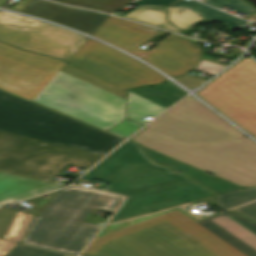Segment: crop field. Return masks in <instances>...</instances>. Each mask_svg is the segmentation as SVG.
<instances>
[{"label":"crop field","instance_id":"1","mask_svg":"<svg viewBox=\"0 0 256 256\" xmlns=\"http://www.w3.org/2000/svg\"><path fill=\"white\" fill-rule=\"evenodd\" d=\"M122 139L0 90V170L48 181L87 169Z\"/></svg>","mask_w":256,"mask_h":256},{"label":"crop field","instance_id":"2","mask_svg":"<svg viewBox=\"0 0 256 256\" xmlns=\"http://www.w3.org/2000/svg\"><path fill=\"white\" fill-rule=\"evenodd\" d=\"M132 140L244 187L256 184V144L191 96Z\"/></svg>","mask_w":256,"mask_h":256},{"label":"crop field","instance_id":"3","mask_svg":"<svg viewBox=\"0 0 256 256\" xmlns=\"http://www.w3.org/2000/svg\"><path fill=\"white\" fill-rule=\"evenodd\" d=\"M82 256H256V223L234 212L194 222L176 210L94 239Z\"/></svg>","mask_w":256,"mask_h":256},{"label":"crop field","instance_id":"4","mask_svg":"<svg viewBox=\"0 0 256 256\" xmlns=\"http://www.w3.org/2000/svg\"><path fill=\"white\" fill-rule=\"evenodd\" d=\"M171 172L148 160L138 144L127 141L81 179L112 184L105 191L128 196L110 222L213 195Z\"/></svg>","mask_w":256,"mask_h":256},{"label":"crop field","instance_id":"5","mask_svg":"<svg viewBox=\"0 0 256 256\" xmlns=\"http://www.w3.org/2000/svg\"><path fill=\"white\" fill-rule=\"evenodd\" d=\"M117 195L70 187L35 217L22 243L77 255L102 226L83 222L94 207L115 211Z\"/></svg>","mask_w":256,"mask_h":256},{"label":"crop field","instance_id":"6","mask_svg":"<svg viewBox=\"0 0 256 256\" xmlns=\"http://www.w3.org/2000/svg\"><path fill=\"white\" fill-rule=\"evenodd\" d=\"M34 101L104 130L125 119V99L62 71Z\"/></svg>","mask_w":256,"mask_h":256},{"label":"crop field","instance_id":"7","mask_svg":"<svg viewBox=\"0 0 256 256\" xmlns=\"http://www.w3.org/2000/svg\"><path fill=\"white\" fill-rule=\"evenodd\" d=\"M69 63L109 80L123 89L66 63L65 71L86 82L123 98L126 89L161 83L167 79L127 55L102 43L88 39L68 60Z\"/></svg>","mask_w":256,"mask_h":256},{"label":"crop field","instance_id":"8","mask_svg":"<svg viewBox=\"0 0 256 256\" xmlns=\"http://www.w3.org/2000/svg\"><path fill=\"white\" fill-rule=\"evenodd\" d=\"M158 30L109 16L93 36L116 45L173 77L194 70L202 52L199 47L171 34L150 52L137 48Z\"/></svg>","mask_w":256,"mask_h":256},{"label":"crop field","instance_id":"9","mask_svg":"<svg viewBox=\"0 0 256 256\" xmlns=\"http://www.w3.org/2000/svg\"><path fill=\"white\" fill-rule=\"evenodd\" d=\"M202 89L197 96L256 138V62L244 58Z\"/></svg>","mask_w":256,"mask_h":256},{"label":"crop field","instance_id":"10","mask_svg":"<svg viewBox=\"0 0 256 256\" xmlns=\"http://www.w3.org/2000/svg\"><path fill=\"white\" fill-rule=\"evenodd\" d=\"M87 38L0 10V41L25 50L67 61Z\"/></svg>","mask_w":256,"mask_h":256},{"label":"crop field","instance_id":"11","mask_svg":"<svg viewBox=\"0 0 256 256\" xmlns=\"http://www.w3.org/2000/svg\"><path fill=\"white\" fill-rule=\"evenodd\" d=\"M64 64L0 43V89L32 101Z\"/></svg>","mask_w":256,"mask_h":256},{"label":"crop field","instance_id":"12","mask_svg":"<svg viewBox=\"0 0 256 256\" xmlns=\"http://www.w3.org/2000/svg\"><path fill=\"white\" fill-rule=\"evenodd\" d=\"M22 13L38 16L92 35L108 15L61 6L44 0H31Z\"/></svg>","mask_w":256,"mask_h":256},{"label":"crop field","instance_id":"13","mask_svg":"<svg viewBox=\"0 0 256 256\" xmlns=\"http://www.w3.org/2000/svg\"><path fill=\"white\" fill-rule=\"evenodd\" d=\"M63 186L0 172V206Z\"/></svg>","mask_w":256,"mask_h":256},{"label":"crop field","instance_id":"14","mask_svg":"<svg viewBox=\"0 0 256 256\" xmlns=\"http://www.w3.org/2000/svg\"><path fill=\"white\" fill-rule=\"evenodd\" d=\"M141 147L148 156V158H150L154 162L173 167V171L189 176L193 181L212 190L216 195L227 191L243 188L242 186L236 185L229 181L223 180L211 174L200 171L196 168H193L189 165L181 163L163 154L150 150L146 147Z\"/></svg>","mask_w":256,"mask_h":256},{"label":"crop field","instance_id":"15","mask_svg":"<svg viewBox=\"0 0 256 256\" xmlns=\"http://www.w3.org/2000/svg\"><path fill=\"white\" fill-rule=\"evenodd\" d=\"M129 91L139 96H142L152 102H155L165 108L169 107L171 104L187 94L170 81L163 83L159 86L144 87L132 89Z\"/></svg>","mask_w":256,"mask_h":256},{"label":"crop field","instance_id":"16","mask_svg":"<svg viewBox=\"0 0 256 256\" xmlns=\"http://www.w3.org/2000/svg\"><path fill=\"white\" fill-rule=\"evenodd\" d=\"M171 6L188 7L207 20L220 21L222 23H225L228 30H236L240 28L242 25H244L245 23H247V21L245 20L232 17L228 14H225L223 12H220L216 9H213L211 7H208L206 5H203L193 0L191 1L181 0Z\"/></svg>","mask_w":256,"mask_h":256},{"label":"crop field","instance_id":"17","mask_svg":"<svg viewBox=\"0 0 256 256\" xmlns=\"http://www.w3.org/2000/svg\"><path fill=\"white\" fill-rule=\"evenodd\" d=\"M123 17L172 32L181 33V31H178L176 28L166 22L163 7L140 6Z\"/></svg>","mask_w":256,"mask_h":256},{"label":"crop field","instance_id":"18","mask_svg":"<svg viewBox=\"0 0 256 256\" xmlns=\"http://www.w3.org/2000/svg\"><path fill=\"white\" fill-rule=\"evenodd\" d=\"M128 94V118L133 121L145 125L149 121L145 122L141 120L142 118L148 115L154 118L165 110V108L155 103H152L142 97H139L129 91Z\"/></svg>","mask_w":256,"mask_h":256},{"label":"crop field","instance_id":"19","mask_svg":"<svg viewBox=\"0 0 256 256\" xmlns=\"http://www.w3.org/2000/svg\"><path fill=\"white\" fill-rule=\"evenodd\" d=\"M218 208L225 210L256 199V186L216 196Z\"/></svg>","mask_w":256,"mask_h":256},{"label":"crop field","instance_id":"20","mask_svg":"<svg viewBox=\"0 0 256 256\" xmlns=\"http://www.w3.org/2000/svg\"><path fill=\"white\" fill-rule=\"evenodd\" d=\"M53 1L110 13L133 0H53Z\"/></svg>","mask_w":256,"mask_h":256},{"label":"crop field","instance_id":"21","mask_svg":"<svg viewBox=\"0 0 256 256\" xmlns=\"http://www.w3.org/2000/svg\"><path fill=\"white\" fill-rule=\"evenodd\" d=\"M166 11L169 15V22L182 31L186 30L193 23L204 19L188 8L166 7Z\"/></svg>","mask_w":256,"mask_h":256},{"label":"crop field","instance_id":"22","mask_svg":"<svg viewBox=\"0 0 256 256\" xmlns=\"http://www.w3.org/2000/svg\"><path fill=\"white\" fill-rule=\"evenodd\" d=\"M34 216L16 212L4 238L20 242Z\"/></svg>","mask_w":256,"mask_h":256},{"label":"crop field","instance_id":"23","mask_svg":"<svg viewBox=\"0 0 256 256\" xmlns=\"http://www.w3.org/2000/svg\"><path fill=\"white\" fill-rule=\"evenodd\" d=\"M5 256H74L20 244Z\"/></svg>","mask_w":256,"mask_h":256},{"label":"crop field","instance_id":"24","mask_svg":"<svg viewBox=\"0 0 256 256\" xmlns=\"http://www.w3.org/2000/svg\"><path fill=\"white\" fill-rule=\"evenodd\" d=\"M201 2L216 8L227 6L235 11L245 13L248 16L256 12L242 0H202Z\"/></svg>","mask_w":256,"mask_h":256},{"label":"crop field","instance_id":"25","mask_svg":"<svg viewBox=\"0 0 256 256\" xmlns=\"http://www.w3.org/2000/svg\"><path fill=\"white\" fill-rule=\"evenodd\" d=\"M141 126L142 125H139L137 123H134V122H131V121L125 119L120 124L112 127L110 130H108V132L125 138V137L129 136L131 133H133L135 130L140 128Z\"/></svg>","mask_w":256,"mask_h":256},{"label":"crop field","instance_id":"26","mask_svg":"<svg viewBox=\"0 0 256 256\" xmlns=\"http://www.w3.org/2000/svg\"><path fill=\"white\" fill-rule=\"evenodd\" d=\"M16 211L0 208V238H3Z\"/></svg>","mask_w":256,"mask_h":256},{"label":"crop field","instance_id":"27","mask_svg":"<svg viewBox=\"0 0 256 256\" xmlns=\"http://www.w3.org/2000/svg\"><path fill=\"white\" fill-rule=\"evenodd\" d=\"M224 67L225 66H221V65H218V64H214V63H210V62L201 60L197 69H196V71H200V72H204V73L214 75L215 73H217L218 71H220Z\"/></svg>","mask_w":256,"mask_h":256},{"label":"crop field","instance_id":"28","mask_svg":"<svg viewBox=\"0 0 256 256\" xmlns=\"http://www.w3.org/2000/svg\"><path fill=\"white\" fill-rule=\"evenodd\" d=\"M231 211L239 212L252 220L256 221V202L235 208Z\"/></svg>","mask_w":256,"mask_h":256},{"label":"crop field","instance_id":"29","mask_svg":"<svg viewBox=\"0 0 256 256\" xmlns=\"http://www.w3.org/2000/svg\"><path fill=\"white\" fill-rule=\"evenodd\" d=\"M175 1H177V0H140V1H137V2L133 3V5L165 6V5L171 4Z\"/></svg>","mask_w":256,"mask_h":256},{"label":"crop field","instance_id":"30","mask_svg":"<svg viewBox=\"0 0 256 256\" xmlns=\"http://www.w3.org/2000/svg\"><path fill=\"white\" fill-rule=\"evenodd\" d=\"M17 242L0 239V256L6 254L12 247H14Z\"/></svg>","mask_w":256,"mask_h":256},{"label":"crop field","instance_id":"31","mask_svg":"<svg viewBox=\"0 0 256 256\" xmlns=\"http://www.w3.org/2000/svg\"><path fill=\"white\" fill-rule=\"evenodd\" d=\"M198 1H200V0H198Z\"/></svg>","mask_w":256,"mask_h":256}]
</instances>
